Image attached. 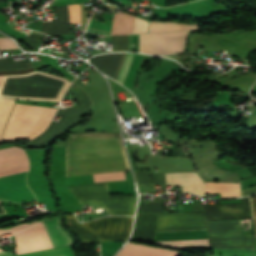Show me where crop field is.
<instances>
[{"instance_id":"dd49c442","label":"crop field","mask_w":256,"mask_h":256,"mask_svg":"<svg viewBox=\"0 0 256 256\" xmlns=\"http://www.w3.org/2000/svg\"><path fill=\"white\" fill-rule=\"evenodd\" d=\"M133 217H104L87 223H81L94 232L101 241L127 240L131 232Z\"/></svg>"},{"instance_id":"e1f06a70","label":"crop field","mask_w":256,"mask_h":256,"mask_svg":"<svg viewBox=\"0 0 256 256\" xmlns=\"http://www.w3.org/2000/svg\"><path fill=\"white\" fill-rule=\"evenodd\" d=\"M0 37H5V36H3L2 34H0Z\"/></svg>"},{"instance_id":"120bbe31","label":"crop field","mask_w":256,"mask_h":256,"mask_svg":"<svg viewBox=\"0 0 256 256\" xmlns=\"http://www.w3.org/2000/svg\"><path fill=\"white\" fill-rule=\"evenodd\" d=\"M125 54H126V53H122V54H121V57H120L118 66H117V68H116V71H115V74H114V77H113L114 79H117V76H118V73H119V71H120V68H121L123 59H124V57H125Z\"/></svg>"},{"instance_id":"5866460e","label":"crop field","mask_w":256,"mask_h":256,"mask_svg":"<svg viewBox=\"0 0 256 256\" xmlns=\"http://www.w3.org/2000/svg\"><path fill=\"white\" fill-rule=\"evenodd\" d=\"M251 200H252V205H253L254 215H255V221H256V195H255V197H252Z\"/></svg>"},{"instance_id":"d3111659","label":"crop field","mask_w":256,"mask_h":256,"mask_svg":"<svg viewBox=\"0 0 256 256\" xmlns=\"http://www.w3.org/2000/svg\"><path fill=\"white\" fill-rule=\"evenodd\" d=\"M17 49V46L8 38H0V50Z\"/></svg>"},{"instance_id":"eef30255","label":"crop field","mask_w":256,"mask_h":256,"mask_svg":"<svg viewBox=\"0 0 256 256\" xmlns=\"http://www.w3.org/2000/svg\"><path fill=\"white\" fill-rule=\"evenodd\" d=\"M70 23H81L80 4L68 6Z\"/></svg>"},{"instance_id":"733c2abd","label":"crop field","mask_w":256,"mask_h":256,"mask_svg":"<svg viewBox=\"0 0 256 256\" xmlns=\"http://www.w3.org/2000/svg\"><path fill=\"white\" fill-rule=\"evenodd\" d=\"M67 223L70 225V227L76 231L78 236L80 237L82 243L85 242H91V241H97L99 240L96 236H94L89 231L85 230L79 222L76 220L75 215H66Z\"/></svg>"},{"instance_id":"1d83c4d3","label":"crop field","mask_w":256,"mask_h":256,"mask_svg":"<svg viewBox=\"0 0 256 256\" xmlns=\"http://www.w3.org/2000/svg\"><path fill=\"white\" fill-rule=\"evenodd\" d=\"M154 185H166L164 174H153Z\"/></svg>"},{"instance_id":"8a807250","label":"crop field","mask_w":256,"mask_h":256,"mask_svg":"<svg viewBox=\"0 0 256 256\" xmlns=\"http://www.w3.org/2000/svg\"><path fill=\"white\" fill-rule=\"evenodd\" d=\"M126 170L130 168L120 134L73 135L66 147V177Z\"/></svg>"},{"instance_id":"ae1a2a85","label":"crop field","mask_w":256,"mask_h":256,"mask_svg":"<svg viewBox=\"0 0 256 256\" xmlns=\"http://www.w3.org/2000/svg\"><path fill=\"white\" fill-rule=\"evenodd\" d=\"M148 24V21L136 17L133 33H147Z\"/></svg>"},{"instance_id":"4177f3b9","label":"crop field","mask_w":256,"mask_h":256,"mask_svg":"<svg viewBox=\"0 0 256 256\" xmlns=\"http://www.w3.org/2000/svg\"><path fill=\"white\" fill-rule=\"evenodd\" d=\"M164 213L162 203H155L138 208L137 214Z\"/></svg>"},{"instance_id":"5a996713","label":"crop field","mask_w":256,"mask_h":256,"mask_svg":"<svg viewBox=\"0 0 256 256\" xmlns=\"http://www.w3.org/2000/svg\"><path fill=\"white\" fill-rule=\"evenodd\" d=\"M57 19L42 25V32L52 38L56 35L69 34V19L67 5L54 6Z\"/></svg>"},{"instance_id":"028f5c9d","label":"crop field","mask_w":256,"mask_h":256,"mask_svg":"<svg viewBox=\"0 0 256 256\" xmlns=\"http://www.w3.org/2000/svg\"><path fill=\"white\" fill-rule=\"evenodd\" d=\"M11 255H13L11 251H9V252L1 251L0 252V256H11Z\"/></svg>"},{"instance_id":"d9b57169","label":"crop field","mask_w":256,"mask_h":256,"mask_svg":"<svg viewBox=\"0 0 256 256\" xmlns=\"http://www.w3.org/2000/svg\"><path fill=\"white\" fill-rule=\"evenodd\" d=\"M198 28L197 25L150 22L148 33L174 32Z\"/></svg>"},{"instance_id":"dafd665d","label":"crop field","mask_w":256,"mask_h":256,"mask_svg":"<svg viewBox=\"0 0 256 256\" xmlns=\"http://www.w3.org/2000/svg\"><path fill=\"white\" fill-rule=\"evenodd\" d=\"M44 36L45 35L39 32L32 31L30 36L26 37L21 42L24 43L30 49L36 51L38 49L37 45L40 44Z\"/></svg>"},{"instance_id":"730fd06b","label":"crop field","mask_w":256,"mask_h":256,"mask_svg":"<svg viewBox=\"0 0 256 256\" xmlns=\"http://www.w3.org/2000/svg\"><path fill=\"white\" fill-rule=\"evenodd\" d=\"M133 55L134 54H132V53H127L126 54L125 60L123 62V65H122V68H121V71H120V74H119L118 79H117L122 84H124V81H125L128 69L130 67Z\"/></svg>"},{"instance_id":"412701ff","label":"crop field","mask_w":256,"mask_h":256,"mask_svg":"<svg viewBox=\"0 0 256 256\" xmlns=\"http://www.w3.org/2000/svg\"><path fill=\"white\" fill-rule=\"evenodd\" d=\"M52 248L70 245L73 240L60 227V218L41 221ZM41 223L15 235L16 254H23L51 248Z\"/></svg>"},{"instance_id":"00972430","label":"crop field","mask_w":256,"mask_h":256,"mask_svg":"<svg viewBox=\"0 0 256 256\" xmlns=\"http://www.w3.org/2000/svg\"><path fill=\"white\" fill-rule=\"evenodd\" d=\"M113 51H128V35L112 36Z\"/></svg>"},{"instance_id":"5142ce71","label":"crop field","mask_w":256,"mask_h":256,"mask_svg":"<svg viewBox=\"0 0 256 256\" xmlns=\"http://www.w3.org/2000/svg\"><path fill=\"white\" fill-rule=\"evenodd\" d=\"M134 16L115 13L111 34H127L132 32Z\"/></svg>"},{"instance_id":"a9b5d70f","label":"crop field","mask_w":256,"mask_h":256,"mask_svg":"<svg viewBox=\"0 0 256 256\" xmlns=\"http://www.w3.org/2000/svg\"><path fill=\"white\" fill-rule=\"evenodd\" d=\"M95 182L125 179L124 172L93 175Z\"/></svg>"},{"instance_id":"d8731c3e","label":"crop field","mask_w":256,"mask_h":256,"mask_svg":"<svg viewBox=\"0 0 256 256\" xmlns=\"http://www.w3.org/2000/svg\"><path fill=\"white\" fill-rule=\"evenodd\" d=\"M181 252L143 244L128 243L117 256H180Z\"/></svg>"},{"instance_id":"28ad6ade","label":"crop field","mask_w":256,"mask_h":256,"mask_svg":"<svg viewBox=\"0 0 256 256\" xmlns=\"http://www.w3.org/2000/svg\"><path fill=\"white\" fill-rule=\"evenodd\" d=\"M157 219L158 215L137 216L132 237L154 241Z\"/></svg>"},{"instance_id":"0bd39190","label":"crop field","mask_w":256,"mask_h":256,"mask_svg":"<svg viewBox=\"0 0 256 256\" xmlns=\"http://www.w3.org/2000/svg\"><path fill=\"white\" fill-rule=\"evenodd\" d=\"M2 77H3V76H0V82H1Z\"/></svg>"},{"instance_id":"750c4746","label":"crop field","mask_w":256,"mask_h":256,"mask_svg":"<svg viewBox=\"0 0 256 256\" xmlns=\"http://www.w3.org/2000/svg\"><path fill=\"white\" fill-rule=\"evenodd\" d=\"M34 223H36V222L22 224V225L16 226V227L11 228V229L0 230V234H2V233H10V232H12V234H14V233H16V232H18V231H20V230H22V229L32 225V224H34Z\"/></svg>"},{"instance_id":"e52e79f7","label":"crop field","mask_w":256,"mask_h":256,"mask_svg":"<svg viewBox=\"0 0 256 256\" xmlns=\"http://www.w3.org/2000/svg\"><path fill=\"white\" fill-rule=\"evenodd\" d=\"M167 184L182 186L183 192L204 196V181L196 173L166 174Z\"/></svg>"},{"instance_id":"4a817a6b","label":"crop field","mask_w":256,"mask_h":256,"mask_svg":"<svg viewBox=\"0 0 256 256\" xmlns=\"http://www.w3.org/2000/svg\"><path fill=\"white\" fill-rule=\"evenodd\" d=\"M156 244L172 246V247H209L208 239L164 241V242H156Z\"/></svg>"},{"instance_id":"34b2d1b8","label":"crop field","mask_w":256,"mask_h":256,"mask_svg":"<svg viewBox=\"0 0 256 256\" xmlns=\"http://www.w3.org/2000/svg\"><path fill=\"white\" fill-rule=\"evenodd\" d=\"M56 109L16 103L1 140L33 139L44 132Z\"/></svg>"},{"instance_id":"bc2a9ffb","label":"crop field","mask_w":256,"mask_h":256,"mask_svg":"<svg viewBox=\"0 0 256 256\" xmlns=\"http://www.w3.org/2000/svg\"><path fill=\"white\" fill-rule=\"evenodd\" d=\"M19 256H73L69 248L66 247H60V248H54Z\"/></svg>"},{"instance_id":"f4fd0767","label":"crop field","mask_w":256,"mask_h":256,"mask_svg":"<svg viewBox=\"0 0 256 256\" xmlns=\"http://www.w3.org/2000/svg\"><path fill=\"white\" fill-rule=\"evenodd\" d=\"M189 31L174 34L139 35L140 52L173 54L182 52Z\"/></svg>"},{"instance_id":"22f410ed","label":"crop field","mask_w":256,"mask_h":256,"mask_svg":"<svg viewBox=\"0 0 256 256\" xmlns=\"http://www.w3.org/2000/svg\"><path fill=\"white\" fill-rule=\"evenodd\" d=\"M206 193L221 192L222 198L240 197V186L236 183L205 182Z\"/></svg>"},{"instance_id":"d1516ede","label":"crop field","mask_w":256,"mask_h":256,"mask_svg":"<svg viewBox=\"0 0 256 256\" xmlns=\"http://www.w3.org/2000/svg\"><path fill=\"white\" fill-rule=\"evenodd\" d=\"M210 236L240 234V223L231 220L207 221Z\"/></svg>"},{"instance_id":"ac0d7876","label":"crop field","mask_w":256,"mask_h":256,"mask_svg":"<svg viewBox=\"0 0 256 256\" xmlns=\"http://www.w3.org/2000/svg\"><path fill=\"white\" fill-rule=\"evenodd\" d=\"M28 170V158L23 149L11 147L0 150V177ZM27 173L0 178V198L17 203L36 199L27 186Z\"/></svg>"},{"instance_id":"bd1437ed","label":"crop field","mask_w":256,"mask_h":256,"mask_svg":"<svg viewBox=\"0 0 256 256\" xmlns=\"http://www.w3.org/2000/svg\"><path fill=\"white\" fill-rule=\"evenodd\" d=\"M139 184H151L148 172H137Z\"/></svg>"},{"instance_id":"3316defc","label":"crop field","mask_w":256,"mask_h":256,"mask_svg":"<svg viewBox=\"0 0 256 256\" xmlns=\"http://www.w3.org/2000/svg\"><path fill=\"white\" fill-rule=\"evenodd\" d=\"M184 212L205 211V215L243 213L241 203L220 205L183 204Z\"/></svg>"},{"instance_id":"214f88e0","label":"crop field","mask_w":256,"mask_h":256,"mask_svg":"<svg viewBox=\"0 0 256 256\" xmlns=\"http://www.w3.org/2000/svg\"><path fill=\"white\" fill-rule=\"evenodd\" d=\"M31 61H8L7 58L0 59V70H12V69H26L32 67Z\"/></svg>"},{"instance_id":"92a150f3","label":"crop field","mask_w":256,"mask_h":256,"mask_svg":"<svg viewBox=\"0 0 256 256\" xmlns=\"http://www.w3.org/2000/svg\"><path fill=\"white\" fill-rule=\"evenodd\" d=\"M10 101H11V100H7V99L0 98V126H1V123H2L3 118H4V116H5V113H6V111H7V108H8V106H9ZM14 102H15V101L12 100L11 103H10V106H9V108H8V111H7V113H6V116H5V118H4V121H3L2 126H1V128H0V136H1V134H2V131H3V129H4V126H5V124H6V121H7L8 117H9V114H10V112H11V109H12V107H13Z\"/></svg>"},{"instance_id":"d32e631a","label":"crop field","mask_w":256,"mask_h":256,"mask_svg":"<svg viewBox=\"0 0 256 256\" xmlns=\"http://www.w3.org/2000/svg\"><path fill=\"white\" fill-rule=\"evenodd\" d=\"M183 149L181 148H173L172 156H180V157H187L185 154H183Z\"/></svg>"},{"instance_id":"cbeb9de0","label":"crop field","mask_w":256,"mask_h":256,"mask_svg":"<svg viewBox=\"0 0 256 256\" xmlns=\"http://www.w3.org/2000/svg\"><path fill=\"white\" fill-rule=\"evenodd\" d=\"M120 54L121 53L100 55L93 58L90 62L93 63L104 74L113 77Z\"/></svg>"}]
</instances>
